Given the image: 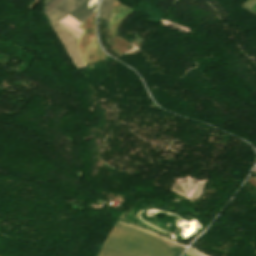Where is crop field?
Returning <instances> with one entry per match:
<instances>
[{
	"mask_svg": "<svg viewBox=\"0 0 256 256\" xmlns=\"http://www.w3.org/2000/svg\"><path fill=\"white\" fill-rule=\"evenodd\" d=\"M254 172H256V167H255V169H254ZM256 179V178H255Z\"/></svg>",
	"mask_w": 256,
	"mask_h": 256,
	"instance_id": "5a996713",
	"label": "crop field"
},
{
	"mask_svg": "<svg viewBox=\"0 0 256 256\" xmlns=\"http://www.w3.org/2000/svg\"><path fill=\"white\" fill-rule=\"evenodd\" d=\"M173 243L118 222L98 256H178L184 247Z\"/></svg>",
	"mask_w": 256,
	"mask_h": 256,
	"instance_id": "8a807250",
	"label": "crop field"
},
{
	"mask_svg": "<svg viewBox=\"0 0 256 256\" xmlns=\"http://www.w3.org/2000/svg\"><path fill=\"white\" fill-rule=\"evenodd\" d=\"M84 0H56L49 6L44 14L47 15L51 26L62 20L76 9Z\"/></svg>",
	"mask_w": 256,
	"mask_h": 256,
	"instance_id": "ac0d7876",
	"label": "crop field"
},
{
	"mask_svg": "<svg viewBox=\"0 0 256 256\" xmlns=\"http://www.w3.org/2000/svg\"><path fill=\"white\" fill-rule=\"evenodd\" d=\"M59 24H61L67 30H69L76 39L84 32L82 29L78 27L80 24L76 20H74L70 15L63 19L62 21H60Z\"/></svg>",
	"mask_w": 256,
	"mask_h": 256,
	"instance_id": "f4fd0767",
	"label": "crop field"
},
{
	"mask_svg": "<svg viewBox=\"0 0 256 256\" xmlns=\"http://www.w3.org/2000/svg\"><path fill=\"white\" fill-rule=\"evenodd\" d=\"M52 28L62 41L65 48L67 49L76 67L78 69L85 67L82 59L79 56V52L76 45V39L72 36V34L59 24H56Z\"/></svg>",
	"mask_w": 256,
	"mask_h": 256,
	"instance_id": "34b2d1b8",
	"label": "crop field"
},
{
	"mask_svg": "<svg viewBox=\"0 0 256 256\" xmlns=\"http://www.w3.org/2000/svg\"><path fill=\"white\" fill-rule=\"evenodd\" d=\"M55 0H48L45 4V8H47L50 4H52Z\"/></svg>",
	"mask_w": 256,
	"mask_h": 256,
	"instance_id": "d8731c3e",
	"label": "crop field"
},
{
	"mask_svg": "<svg viewBox=\"0 0 256 256\" xmlns=\"http://www.w3.org/2000/svg\"><path fill=\"white\" fill-rule=\"evenodd\" d=\"M112 0H102L99 9V17L109 21L111 12Z\"/></svg>",
	"mask_w": 256,
	"mask_h": 256,
	"instance_id": "dd49c442",
	"label": "crop field"
},
{
	"mask_svg": "<svg viewBox=\"0 0 256 256\" xmlns=\"http://www.w3.org/2000/svg\"><path fill=\"white\" fill-rule=\"evenodd\" d=\"M99 0H85L76 10L70 15L80 24L96 11Z\"/></svg>",
	"mask_w": 256,
	"mask_h": 256,
	"instance_id": "412701ff",
	"label": "crop field"
},
{
	"mask_svg": "<svg viewBox=\"0 0 256 256\" xmlns=\"http://www.w3.org/2000/svg\"><path fill=\"white\" fill-rule=\"evenodd\" d=\"M189 250H191V251H193V252H195V253H198V254L202 255V253L197 252L196 250H194V249L191 248V247H189ZM189 250H187L186 254H188V255H190V256H200V255L195 254V253H193V252H191V251H189ZM186 254H185V255H186ZM202 256H207V255L203 254Z\"/></svg>",
	"mask_w": 256,
	"mask_h": 256,
	"instance_id": "e52e79f7",
	"label": "crop field"
}]
</instances>
